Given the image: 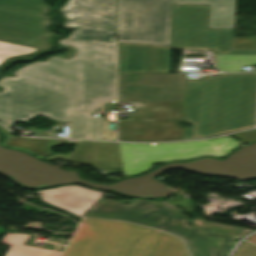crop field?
<instances>
[{
  "instance_id": "obj_1",
  "label": "crop field",
  "mask_w": 256,
  "mask_h": 256,
  "mask_svg": "<svg viewBox=\"0 0 256 256\" xmlns=\"http://www.w3.org/2000/svg\"><path fill=\"white\" fill-rule=\"evenodd\" d=\"M57 43L70 51L0 79V122L7 127L37 114L70 122L73 110L95 111L117 98L115 37L73 28Z\"/></svg>"
},
{
  "instance_id": "obj_2",
  "label": "crop field",
  "mask_w": 256,
  "mask_h": 256,
  "mask_svg": "<svg viewBox=\"0 0 256 256\" xmlns=\"http://www.w3.org/2000/svg\"><path fill=\"white\" fill-rule=\"evenodd\" d=\"M256 74H219L218 79H186L184 139L254 127Z\"/></svg>"
},
{
  "instance_id": "obj_3",
  "label": "crop field",
  "mask_w": 256,
  "mask_h": 256,
  "mask_svg": "<svg viewBox=\"0 0 256 256\" xmlns=\"http://www.w3.org/2000/svg\"><path fill=\"white\" fill-rule=\"evenodd\" d=\"M83 216L124 220L170 232L186 240L193 256H227L240 237L254 231L211 223L203 218L193 219V223L199 228L231 237L209 235L188 226V221L182 214L168 211L154 202L137 199L126 205L101 198Z\"/></svg>"
},
{
  "instance_id": "obj_4",
  "label": "crop field",
  "mask_w": 256,
  "mask_h": 256,
  "mask_svg": "<svg viewBox=\"0 0 256 256\" xmlns=\"http://www.w3.org/2000/svg\"><path fill=\"white\" fill-rule=\"evenodd\" d=\"M63 256H189L182 239L124 222L87 218Z\"/></svg>"
},
{
  "instance_id": "obj_5",
  "label": "crop field",
  "mask_w": 256,
  "mask_h": 256,
  "mask_svg": "<svg viewBox=\"0 0 256 256\" xmlns=\"http://www.w3.org/2000/svg\"><path fill=\"white\" fill-rule=\"evenodd\" d=\"M118 42L171 45L172 0H117Z\"/></svg>"
},
{
  "instance_id": "obj_6",
  "label": "crop field",
  "mask_w": 256,
  "mask_h": 256,
  "mask_svg": "<svg viewBox=\"0 0 256 256\" xmlns=\"http://www.w3.org/2000/svg\"><path fill=\"white\" fill-rule=\"evenodd\" d=\"M209 5H174L172 47L215 48V55H256L235 50L234 29H208Z\"/></svg>"
},
{
  "instance_id": "obj_7",
  "label": "crop field",
  "mask_w": 256,
  "mask_h": 256,
  "mask_svg": "<svg viewBox=\"0 0 256 256\" xmlns=\"http://www.w3.org/2000/svg\"><path fill=\"white\" fill-rule=\"evenodd\" d=\"M45 0H0V41L49 50L46 39L55 35Z\"/></svg>"
},
{
  "instance_id": "obj_8",
  "label": "crop field",
  "mask_w": 256,
  "mask_h": 256,
  "mask_svg": "<svg viewBox=\"0 0 256 256\" xmlns=\"http://www.w3.org/2000/svg\"><path fill=\"white\" fill-rule=\"evenodd\" d=\"M120 102L185 101V74H119Z\"/></svg>"
},
{
  "instance_id": "obj_9",
  "label": "crop field",
  "mask_w": 256,
  "mask_h": 256,
  "mask_svg": "<svg viewBox=\"0 0 256 256\" xmlns=\"http://www.w3.org/2000/svg\"><path fill=\"white\" fill-rule=\"evenodd\" d=\"M171 46L119 43V73H170Z\"/></svg>"
},
{
  "instance_id": "obj_10",
  "label": "crop field",
  "mask_w": 256,
  "mask_h": 256,
  "mask_svg": "<svg viewBox=\"0 0 256 256\" xmlns=\"http://www.w3.org/2000/svg\"><path fill=\"white\" fill-rule=\"evenodd\" d=\"M38 193L43 201L78 216L104 194L78 186L60 187Z\"/></svg>"
},
{
  "instance_id": "obj_11",
  "label": "crop field",
  "mask_w": 256,
  "mask_h": 256,
  "mask_svg": "<svg viewBox=\"0 0 256 256\" xmlns=\"http://www.w3.org/2000/svg\"><path fill=\"white\" fill-rule=\"evenodd\" d=\"M58 10H67L62 13V17L67 19L62 24L64 27L84 29L85 16L114 22V0H70Z\"/></svg>"
},
{
  "instance_id": "obj_12",
  "label": "crop field",
  "mask_w": 256,
  "mask_h": 256,
  "mask_svg": "<svg viewBox=\"0 0 256 256\" xmlns=\"http://www.w3.org/2000/svg\"><path fill=\"white\" fill-rule=\"evenodd\" d=\"M124 175L142 172L152 166L149 144L118 143Z\"/></svg>"
},
{
  "instance_id": "obj_13",
  "label": "crop field",
  "mask_w": 256,
  "mask_h": 256,
  "mask_svg": "<svg viewBox=\"0 0 256 256\" xmlns=\"http://www.w3.org/2000/svg\"><path fill=\"white\" fill-rule=\"evenodd\" d=\"M236 0H173L174 4H210L209 28H234Z\"/></svg>"
},
{
  "instance_id": "obj_14",
  "label": "crop field",
  "mask_w": 256,
  "mask_h": 256,
  "mask_svg": "<svg viewBox=\"0 0 256 256\" xmlns=\"http://www.w3.org/2000/svg\"><path fill=\"white\" fill-rule=\"evenodd\" d=\"M153 163L169 160L192 159L199 156L198 141L150 146Z\"/></svg>"
},
{
  "instance_id": "obj_15",
  "label": "crop field",
  "mask_w": 256,
  "mask_h": 256,
  "mask_svg": "<svg viewBox=\"0 0 256 256\" xmlns=\"http://www.w3.org/2000/svg\"><path fill=\"white\" fill-rule=\"evenodd\" d=\"M102 120L105 118L91 117L90 113H74L75 138L103 140Z\"/></svg>"
},
{
  "instance_id": "obj_16",
  "label": "crop field",
  "mask_w": 256,
  "mask_h": 256,
  "mask_svg": "<svg viewBox=\"0 0 256 256\" xmlns=\"http://www.w3.org/2000/svg\"><path fill=\"white\" fill-rule=\"evenodd\" d=\"M29 235L6 234L1 243L12 245L6 256H59L60 251L23 245Z\"/></svg>"
},
{
  "instance_id": "obj_17",
  "label": "crop field",
  "mask_w": 256,
  "mask_h": 256,
  "mask_svg": "<svg viewBox=\"0 0 256 256\" xmlns=\"http://www.w3.org/2000/svg\"><path fill=\"white\" fill-rule=\"evenodd\" d=\"M240 145L229 137H219L211 140L199 141V154L223 157Z\"/></svg>"
},
{
  "instance_id": "obj_18",
  "label": "crop field",
  "mask_w": 256,
  "mask_h": 256,
  "mask_svg": "<svg viewBox=\"0 0 256 256\" xmlns=\"http://www.w3.org/2000/svg\"><path fill=\"white\" fill-rule=\"evenodd\" d=\"M45 51L21 45L0 42V69L12 58H24Z\"/></svg>"
},
{
  "instance_id": "obj_19",
  "label": "crop field",
  "mask_w": 256,
  "mask_h": 256,
  "mask_svg": "<svg viewBox=\"0 0 256 256\" xmlns=\"http://www.w3.org/2000/svg\"><path fill=\"white\" fill-rule=\"evenodd\" d=\"M245 65H256V56H216V66L221 72H241Z\"/></svg>"
},
{
  "instance_id": "obj_20",
  "label": "crop field",
  "mask_w": 256,
  "mask_h": 256,
  "mask_svg": "<svg viewBox=\"0 0 256 256\" xmlns=\"http://www.w3.org/2000/svg\"><path fill=\"white\" fill-rule=\"evenodd\" d=\"M85 29L115 36L112 22L86 17Z\"/></svg>"
},
{
  "instance_id": "obj_21",
  "label": "crop field",
  "mask_w": 256,
  "mask_h": 256,
  "mask_svg": "<svg viewBox=\"0 0 256 256\" xmlns=\"http://www.w3.org/2000/svg\"><path fill=\"white\" fill-rule=\"evenodd\" d=\"M235 49H256V38L235 37Z\"/></svg>"
},
{
  "instance_id": "obj_22",
  "label": "crop field",
  "mask_w": 256,
  "mask_h": 256,
  "mask_svg": "<svg viewBox=\"0 0 256 256\" xmlns=\"http://www.w3.org/2000/svg\"><path fill=\"white\" fill-rule=\"evenodd\" d=\"M233 256H256V247L242 242Z\"/></svg>"
},
{
  "instance_id": "obj_23",
  "label": "crop field",
  "mask_w": 256,
  "mask_h": 256,
  "mask_svg": "<svg viewBox=\"0 0 256 256\" xmlns=\"http://www.w3.org/2000/svg\"><path fill=\"white\" fill-rule=\"evenodd\" d=\"M234 136L238 137L239 139L247 142L256 139V130H251L243 133L234 134Z\"/></svg>"
},
{
  "instance_id": "obj_24",
  "label": "crop field",
  "mask_w": 256,
  "mask_h": 256,
  "mask_svg": "<svg viewBox=\"0 0 256 256\" xmlns=\"http://www.w3.org/2000/svg\"><path fill=\"white\" fill-rule=\"evenodd\" d=\"M246 240L256 244V234L251 236V237H249V238H247Z\"/></svg>"
}]
</instances>
